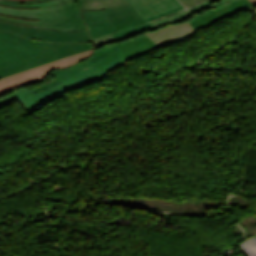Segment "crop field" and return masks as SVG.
<instances>
[{
    "mask_svg": "<svg viewBox=\"0 0 256 256\" xmlns=\"http://www.w3.org/2000/svg\"><path fill=\"white\" fill-rule=\"evenodd\" d=\"M158 47L155 43H153L148 36L138 39L136 41L130 42L128 44H125L123 46H120V49L125 54L127 59L138 55L145 53L147 51H150L154 48Z\"/></svg>",
    "mask_w": 256,
    "mask_h": 256,
    "instance_id": "crop-field-10",
    "label": "crop field"
},
{
    "mask_svg": "<svg viewBox=\"0 0 256 256\" xmlns=\"http://www.w3.org/2000/svg\"><path fill=\"white\" fill-rule=\"evenodd\" d=\"M125 0H84L81 10H100L125 5Z\"/></svg>",
    "mask_w": 256,
    "mask_h": 256,
    "instance_id": "crop-field-12",
    "label": "crop field"
},
{
    "mask_svg": "<svg viewBox=\"0 0 256 256\" xmlns=\"http://www.w3.org/2000/svg\"><path fill=\"white\" fill-rule=\"evenodd\" d=\"M117 50L113 44L100 47L86 59L69 67L58 68L51 72L58 80L32 90L34 93L62 82L68 90L71 88L101 78L99 72L91 66Z\"/></svg>",
    "mask_w": 256,
    "mask_h": 256,
    "instance_id": "crop-field-4",
    "label": "crop field"
},
{
    "mask_svg": "<svg viewBox=\"0 0 256 256\" xmlns=\"http://www.w3.org/2000/svg\"><path fill=\"white\" fill-rule=\"evenodd\" d=\"M83 0H0V19L52 29L85 30Z\"/></svg>",
    "mask_w": 256,
    "mask_h": 256,
    "instance_id": "crop-field-2",
    "label": "crop field"
},
{
    "mask_svg": "<svg viewBox=\"0 0 256 256\" xmlns=\"http://www.w3.org/2000/svg\"><path fill=\"white\" fill-rule=\"evenodd\" d=\"M185 24H188V22L186 21V22L181 23V24L166 26V27L161 28V29H159V30H157V31H147V32H145V33L149 36V38H151V37H153V36H155V35H158V34H160V33L166 32V31H168V30H171V29L180 27V26L185 25Z\"/></svg>",
    "mask_w": 256,
    "mask_h": 256,
    "instance_id": "crop-field-16",
    "label": "crop field"
},
{
    "mask_svg": "<svg viewBox=\"0 0 256 256\" xmlns=\"http://www.w3.org/2000/svg\"><path fill=\"white\" fill-rule=\"evenodd\" d=\"M82 13L92 38L146 22L129 4L101 11H82Z\"/></svg>",
    "mask_w": 256,
    "mask_h": 256,
    "instance_id": "crop-field-3",
    "label": "crop field"
},
{
    "mask_svg": "<svg viewBox=\"0 0 256 256\" xmlns=\"http://www.w3.org/2000/svg\"><path fill=\"white\" fill-rule=\"evenodd\" d=\"M234 1H237V0H221L217 3H213V8L212 9L205 10V11H203L202 14L194 15L190 20H188V22L190 23V22H192V21H194V20H196V19H198V18H200V17H202L206 14H209V13H211V12H213V11L223 7V6H226V5H228V4H230Z\"/></svg>",
    "mask_w": 256,
    "mask_h": 256,
    "instance_id": "crop-field-14",
    "label": "crop field"
},
{
    "mask_svg": "<svg viewBox=\"0 0 256 256\" xmlns=\"http://www.w3.org/2000/svg\"><path fill=\"white\" fill-rule=\"evenodd\" d=\"M185 7H191L203 0H179Z\"/></svg>",
    "mask_w": 256,
    "mask_h": 256,
    "instance_id": "crop-field-17",
    "label": "crop field"
},
{
    "mask_svg": "<svg viewBox=\"0 0 256 256\" xmlns=\"http://www.w3.org/2000/svg\"><path fill=\"white\" fill-rule=\"evenodd\" d=\"M144 36H146V35L144 33H142V34L137 35L135 37L124 40L120 43H114V45L116 46V48L118 50L115 51L114 53H112L111 55H109L108 57H106L105 59L101 60L100 62H98L97 64H95L92 67H94L96 70H98L103 75L106 74L108 71H110L112 68H114L117 64L127 60L118 46H120L122 44H125V43H128L130 41L136 40L138 38L144 37Z\"/></svg>",
    "mask_w": 256,
    "mask_h": 256,
    "instance_id": "crop-field-9",
    "label": "crop field"
},
{
    "mask_svg": "<svg viewBox=\"0 0 256 256\" xmlns=\"http://www.w3.org/2000/svg\"><path fill=\"white\" fill-rule=\"evenodd\" d=\"M194 29L190 24L185 25L183 27L171 30L169 32L160 34L156 37L151 38L153 42H155L158 46L168 44L170 42L176 41L178 39H181L187 35H189L191 32H193ZM192 34V33H191Z\"/></svg>",
    "mask_w": 256,
    "mask_h": 256,
    "instance_id": "crop-field-11",
    "label": "crop field"
},
{
    "mask_svg": "<svg viewBox=\"0 0 256 256\" xmlns=\"http://www.w3.org/2000/svg\"><path fill=\"white\" fill-rule=\"evenodd\" d=\"M68 91L61 83L57 86L47 88L39 93L33 94L31 88L27 86L14 90V94L0 99V106L18 99L25 110L31 109L43 102L54 99Z\"/></svg>",
    "mask_w": 256,
    "mask_h": 256,
    "instance_id": "crop-field-6",
    "label": "crop field"
},
{
    "mask_svg": "<svg viewBox=\"0 0 256 256\" xmlns=\"http://www.w3.org/2000/svg\"><path fill=\"white\" fill-rule=\"evenodd\" d=\"M253 5H256V0H250Z\"/></svg>",
    "mask_w": 256,
    "mask_h": 256,
    "instance_id": "crop-field-18",
    "label": "crop field"
},
{
    "mask_svg": "<svg viewBox=\"0 0 256 256\" xmlns=\"http://www.w3.org/2000/svg\"><path fill=\"white\" fill-rule=\"evenodd\" d=\"M146 21L185 9L177 0H126Z\"/></svg>",
    "mask_w": 256,
    "mask_h": 256,
    "instance_id": "crop-field-7",
    "label": "crop field"
},
{
    "mask_svg": "<svg viewBox=\"0 0 256 256\" xmlns=\"http://www.w3.org/2000/svg\"><path fill=\"white\" fill-rule=\"evenodd\" d=\"M93 48L87 31L39 29L0 21V78Z\"/></svg>",
    "mask_w": 256,
    "mask_h": 256,
    "instance_id": "crop-field-1",
    "label": "crop field"
},
{
    "mask_svg": "<svg viewBox=\"0 0 256 256\" xmlns=\"http://www.w3.org/2000/svg\"><path fill=\"white\" fill-rule=\"evenodd\" d=\"M250 6H252V4L249 0H239L191 23V25L196 30L197 28L205 26L223 16L229 15L240 9L247 8Z\"/></svg>",
    "mask_w": 256,
    "mask_h": 256,
    "instance_id": "crop-field-8",
    "label": "crop field"
},
{
    "mask_svg": "<svg viewBox=\"0 0 256 256\" xmlns=\"http://www.w3.org/2000/svg\"><path fill=\"white\" fill-rule=\"evenodd\" d=\"M94 50V49H93ZM93 50H89L71 57H67L37 68H33L3 79H0V95L24 86L26 84L41 81L54 68L64 67L79 62L89 56Z\"/></svg>",
    "mask_w": 256,
    "mask_h": 256,
    "instance_id": "crop-field-5",
    "label": "crop field"
},
{
    "mask_svg": "<svg viewBox=\"0 0 256 256\" xmlns=\"http://www.w3.org/2000/svg\"><path fill=\"white\" fill-rule=\"evenodd\" d=\"M147 30H154V29L150 24L145 23V24H142V25H139V26H136V27L118 32V33H114V36L116 37V39L119 42V41H122L124 39L129 38V37H132V36H135V35L140 34L142 32H145Z\"/></svg>",
    "mask_w": 256,
    "mask_h": 256,
    "instance_id": "crop-field-13",
    "label": "crop field"
},
{
    "mask_svg": "<svg viewBox=\"0 0 256 256\" xmlns=\"http://www.w3.org/2000/svg\"><path fill=\"white\" fill-rule=\"evenodd\" d=\"M92 42H93V44L95 46V49H96L97 47L107 45V44H111L113 42H117V40L115 39L113 34H111V35H107V36H103V37H100V38L93 39Z\"/></svg>",
    "mask_w": 256,
    "mask_h": 256,
    "instance_id": "crop-field-15",
    "label": "crop field"
}]
</instances>
